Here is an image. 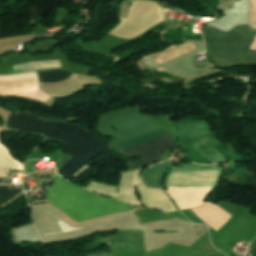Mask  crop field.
Returning <instances> with one entry per match:
<instances>
[{"mask_svg":"<svg viewBox=\"0 0 256 256\" xmlns=\"http://www.w3.org/2000/svg\"><path fill=\"white\" fill-rule=\"evenodd\" d=\"M110 126L117 128L118 131ZM96 130L116 138L111 142V146L114 148L162 129L149 118L143 116L140 112V108H133L104 115ZM170 137L171 136L162 130L114 149L124 154ZM169 148H177L175 141L172 138L124 155L143 157V160L141 161L126 162L129 169H132L150 165L165 159L162 157L161 152Z\"/></svg>","mask_w":256,"mask_h":256,"instance_id":"1","label":"crop field"},{"mask_svg":"<svg viewBox=\"0 0 256 256\" xmlns=\"http://www.w3.org/2000/svg\"><path fill=\"white\" fill-rule=\"evenodd\" d=\"M49 120L39 117L28 110L16 115L11 112L5 128L41 136ZM42 134L48 139L67 143L59 151L74 158L59 168V173L68 178L95 156L111 149L99 137L77 124H66L62 121L50 120Z\"/></svg>","mask_w":256,"mask_h":256,"instance_id":"2","label":"crop field"},{"mask_svg":"<svg viewBox=\"0 0 256 256\" xmlns=\"http://www.w3.org/2000/svg\"><path fill=\"white\" fill-rule=\"evenodd\" d=\"M46 197L77 222L135 208L132 205L96 195L57 175L48 188Z\"/></svg>","mask_w":256,"mask_h":256,"instance_id":"3","label":"crop field"},{"mask_svg":"<svg viewBox=\"0 0 256 256\" xmlns=\"http://www.w3.org/2000/svg\"><path fill=\"white\" fill-rule=\"evenodd\" d=\"M219 177L218 165L173 167L167 186H213ZM180 210L202 206L200 201L210 187H167ZM212 188V187H211Z\"/></svg>","mask_w":256,"mask_h":256,"instance_id":"4","label":"crop field"},{"mask_svg":"<svg viewBox=\"0 0 256 256\" xmlns=\"http://www.w3.org/2000/svg\"><path fill=\"white\" fill-rule=\"evenodd\" d=\"M142 169L121 173L119 187L103 185L93 181H91L87 187L95 192L130 204L142 205L136 196V190L134 188L136 187L141 194L142 202L145 206L159 208L165 212L177 211L171 199L163 191L143 187L139 179V174ZM117 188H119V192H117Z\"/></svg>","mask_w":256,"mask_h":256,"instance_id":"5","label":"crop field"},{"mask_svg":"<svg viewBox=\"0 0 256 256\" xmlns=\"http://www.w3.org/2000/svg\"><path fill=\"white\" fill-rule=\"evenodd\" d=\"M207 52L216 66L256 63L254 40L249 42L209 25L204 28ZM256 50V39H255Z\"/></svg>","mask_w":256,"mask_h":256,"instance_id":"6","label":"crop field"},{"mask_svg":"<svg viewBox=\"0 0 256 256\" xmlns=\"http://www.w3.org/2000/svg\"><path fill=\"white\" fill-rule=\"evenodd\" d=\"M0 95H23L43 102L51 97L39 89L35 73L0 76Z\"/></svg>","mask_w":256,"mask_h":256,"instance_id":"7","label":"crop field"},{"mask_svg":"<svg viewBox=\"0 0 256 256\" xmlns=\"http://www.w3.org/2000/svg\"><path fill=\"white\" fill-rule=\"evenodd\" d=\"M188 146L196 149L211 163L225 161L206 136L189 144Z\"/></svg>","mask_w":256,"mask_h":256,"instance_id":"8","label":"crop field"},{"mask_svg":"<svg viewBox=\"0 0 256 256\" xmlns=\"http://www.w3.org/2000/svg\"><path fill=\"white\" fill-rule=\"evenodd\" d=\"M167 164H158L147 169L143 175L142 179L146 186L164 189L162 186V180L166 173Z\"/></svg>","mask_w":256,"mask_h":256,"instance_id":"9","label":"crop field"},{"mask_svg":"<svg viewBox=\"0 0 256 256\" xmlns=\"http://www.w3.org/2000/svg\"><path fill=\"white\" fill-rule=\"evenodd\" d=\"M0 166L22 169L20 162L13 160L7 148L0 144ZM10 168L0 167V178H7Z\"/></svg>","mask_w":256,"mask_h":256,"instance_id":"10","label":"crop field"},{"mask_svg":"<svg viewBox=\"0 0 256 256\" xmlns=\"http://www.w3.org/2000/svg\"><path fill=\"white\" fill-rule=\"evenodd\" d=\"M37 73L39 75V80L46 83H57L64 81L68 79L72 74L71 72H67L64 70H52Z\"/></svg>","mask_w":256,"mask_h":256,"instance_id":"11","label":"crop field"},{"mask_svg":"<svg viewBox=\"0 0 256 256\" xmlns=\"http://www.w3.org/2000/svg\"><path fill=\"white\" fill-rule=\"evenodd\" d=\"M196 49L195 42H187L183 45H180L178 47L172 48L170 50H167L165 52L160 53L162 58L167 61L172 58L178 57L180 55H183L185 53H188L190 51H193Z\"/></svg>","mask_w":256,"mask_h":256,"instance_id":"12","label":"crop field"},{"mask_svg":"<svg viewBox=\"0 0 256 256\" xmlns=\"http://www.w3.org/2000/svg\"><path fill=\"white\" fill-rule=\"evenodd\" d=\"M23 189H10V186H0V207L14 200Z\"/></svg>","mask_w":256,"mask_h":256,"instance_id":"13","label":"crop field"},{"mask_svg":"<svg viewBox=\"0 0 256 256\" xmlns=\"http://www.w3.org/2000/svg\"><path fill=\"white\" fill-rule=\"evenodd\" d=\"M249 22H256V0H250Z\"/></svg>","mask_w":256,"mask_h":256,"instance_id":"14","label":"crop field"},{"mask_svg":"<svg viewBox=\"0 0 256 256\" xmlns=\"http://www.w3.org/2000/svg\"><path fill=\"white\" fill-rule=\"evenodd\" d=\"M251 254H253V256H256V248H253Z\"/></svg>","mask_w":256,"mask_h":256,"instance_id":"15","label":"crop field"}]
</instances>
